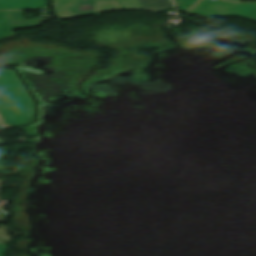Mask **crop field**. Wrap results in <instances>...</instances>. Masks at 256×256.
<instances>
[{
  "label": "crop field",
  "mask_w": 256,
  "mask_h": 256,
  "mask_svg": "<svg viewBox=\"0 0 256 256\" xmlns=\"http://www.w3.org/2000/svg\"><path fill=\"white\" fill-rule=\"evenodd\" d=\"M53 7L61 20L83 14L124 9L117 0H53Z\"/></svg>",
  "instance_id": "8a807250"
},
{
  "label": "crop field",
  "mask_w": 256,
  "mask_h": 256,
  "mask_svg": "<svg viewBox=\"0 0 256 256\" xmlns=\"http://www.w3.org/2000/svg\"><path fill=\"white\" fill-rule=\"evenodd\" d=\"M200 16H238L256 21V3H233L221 0H203L190 10Z\"/></svg>",
  "instance_id": "ac0d7876"
},
{
  "label": "crop field",
  "mask_w": 256,
  "mask_h": 256,
  "mask_svg": "<svg viewBox=\"0 0 256 256\" xmlns=\"http://www.w3.org/2000/svg\"><path fill=\"white\" fill-rule=\"evenodd\" d=\"M139 2L144 10L153 13L174 7L171 0H139Z\"/></svg>",
  "instance_id": "34b2d1b8"
},
{
  "label": "crop field",
  "mask_w": 256,
  "mask_h": 256,
  "mask_svg": "<svg viewBox=\"0 0 256 256\" xmlns=\"http://www.w3.org/2000/svg\"><path fill=\"white\" fill-rule=\"evenodd\" d=\"M125 9H142L138 0H118Z\"/></svg>",
  "instance_id": "412701ff"
},
{
  "label": "crop field",
  "mask_w": 256,
  "mask_h": 256,
  "mask_svg": "<svg viewBox=\"0 0 256 256\" xmlns=\"http://www.w3.org/2000/svg\"><path fill=\"white\" fill-rule=\"evenodd\" d=\"M181 11H187L192 7L198 0H175Z\"/></svg>",
  "instance_id": "f4fd0767"
},
{
  "label": "crop field",
  "mask_w": 256,
  "mask_h": 256,
  "mask_svg": "<svg viewBox=\"0 0 256 256\" xmlns=\"http://www.w3.org/2000/svg\"><path fill=\"white\" fill-rule=\"evenodd\" d=\"M10 151L9 148L5 147V146H0V160H3L6 156V154ZM6 162H0L1 164H5ZM0 173L4 174V175H8L6 169L4 166H0Z\"/></svg>",
  "instance_id": "dd49c442"
},
{
  "label": "crop field",
  "mask_w": 256,
  "mask_h": 256,
  "mask_svg": "<svg viewBox=\"0 0 256 256\" xmlns=\"http://www.w3.org/2000/svg\"><path fill=\"white\" fill-rule=\"evenodd\" d=\"M5 230H10V229L0 225V243H7L11 241Z\"/></svg>",
  "instance_id": "e52e79f7"
},
{
  "label": "crop field",
  "mask_w": 256,
  "mask_h": 256,
  "mask_svg": "<svg viewBox=\"0 0 256 256\" xmlns=\"http://www.w3.org/2000/svg\"><path fill=\"white\" fill-rule=\"evenodd\" d=\"M8 217H0V222H6Z\"/></svg>",
  "instance_id": "d8731c3e"
},
{
  "label": "crop field",
  "mask_w": 256,
  "mask_h": 256,
  "mask_svg": "<svg viewBox=\"0 0 256 256\" xmlns=\"http://www.w3.org/2000/svg\"><path fill=\"white\" fill-rule=\"evenodd\" d=\"M232 1H240V0H232Z\"/></svg>",
  "instance_id": "5a996713"
}]
</instances>
